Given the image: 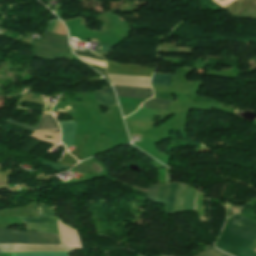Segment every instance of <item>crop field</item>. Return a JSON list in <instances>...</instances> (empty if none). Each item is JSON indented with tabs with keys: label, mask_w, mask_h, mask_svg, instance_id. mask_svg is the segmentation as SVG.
Returning a JSON list of instances; mask_svg holds the SVG:
<instances>
[{
	"label": "crop field",
	"mask_w": 256,
	"mask_h": 256,
	"mask_svg": "<svg viewBox=\"0 0 256 256\" xmlns=\"http://www.w3.org/2000/svg\"><path fill=\"white\" fill-rule=\"evenodd\" d=\"M60 162L74 165L75 163H77V160L66 152L65 156L62 160H60Z\"/></svg>",
	"instance_id": "obj_19"
},
{
	"label": "crop field",
	"mask_w": 256,
	"mask_h": 256,
	"mask_svg": "<svg viewBox=\"0 0 256 256\" xmlns=\"http://www.w3.org/2000/svg\"><path fill=\"white\" fill-rule=\"evenodd\" d=\"M75 53L77 55H82V56H86V57H89V58H95V59H100V60H104L102 58H98L96 57L94 54H90V53H86L85 51H79V50H74ZM105 61V60H104Z\"/></svg>",
	"instance_id": "obj_20"
},
{
	"label": "crop field",
	"mask_w": 256,
	"mask_h": 256,
	"mask_svg": "<svg viewBox=\"0 0 256 256\" xmlns=\"http://www.w3.org/2000/svg\"><path fill=\"white\" fill-rule=\"evenodd\" d=\"M171 80V75L167 74H154L151 82L169 83Z\"/></svg>",
	"instance_id": "obj_16"
},
{
	"label": "crop field",
	"mask_w": 256,
	"mask_h": 256,
	"mask_svg": "<svg viewBox=\"0 0 256 256\" xmlns=\"http://www.w3.org/2000/svg\"><path fill=\"white\" fill-rule=\"evenodd\" d=\"M198 256H228V255H226L214 248L207 246L206 249Z\"/></svg>",
	"instance_id": "obj_15"
},
{
	"label": "crop field",
	"mask_w": 256,
	"mask_h": 256,
	"mask_svg": "<svg viewBox=\"0 0 256 256\" xmlns=\"http://www.w3.org/2000/svg\"><path fill=\"white\" fill-rule=\"evenodd\" d=\"M157 192L158 186H148V199L156 202Z\"/></svg>",
	"instance_id": "obj_18"
},
{
	"label": "crop field",
	"mask_w": 256,
	"mask_h": 256,
	"mask_svg": "<svg viewBox=\"0 0 256 256\" xmlns=\"http://www.w3.org/2000/svg\"><path fill=\"white\" fill-rule=\"evenodd\" d=\"M25 223H40V224H51L56 225L55 219H47V218H33V217H19Z\"/></svg>",
	"instance_id": "obj_12"
},
{
	"label": "crop field",
	"mask_w": 256,
	"mask_h": 256,
	"mask_svg": "<svg viewBox=\"0 0 256 256\" xmlns=\"http://www.w3.org/2000/svg\"><path fill=\"white\" fill-rule=\"evenodd\" d=\"M256 240V222L233 214L215 246L235 256H256L250 251Z\"/></svg>",
	"instance_id": "obj_1"
},
{
	"label": "crop field",
	"mask_w": 256,
	"mask_h": 256,
	"mask_svg": "<svg viewBox=\"0 0 256 256\" xmlns=\"http://www.w3.org/2000/svg\"><path fill=\"white\" fill-rule=\"evenodd\" d=\"M216 3L220 4L221 6H226L227 4H229L230 2H232L233 0H214Z\"/></svg>",
	"instance_id": "obj_23"
},
{
	"label": "crop field",
	"mask_w": 256,
	"mask_h": 256,
	"mask_svg": "<svg viewBox=\"0 0 256 256\" xmlns=\"http://www.w3.org/2000/svg\"><path fill=\"white\" fill-rule=\"evenodd\" d=\"M179 184L172 183L166 203V208H165V214H173L174 211V198H175V193L178 188ZM170 185H163L159 187V193H158V199L157 202L165 204L168 190H169Z\"/></svg>",
	"instance_id": "obj_7"
},
{
	"label": "crop field",
	"mask_w": 256,
	"mask_h": 256,
	"mask_svg": "<svg viewBox=\"0 0 256 256\" xmlns=\"http://www.w3.org/2000/svg\"><path fill=\"white\" fill-rule=\"evenodd\" d=\"M89 136H84L81 141L78 143L77 147L74 149V151L72 152V155H74L78 160H83L81 158H79V154L80 152L82 151L87 139H88Z\"/></svg>",
	"instance_id": "obj_17"
},
{
	"label": "crop field",
	"mask_w": 256,
	"mask_h": 256,
	"mask_svg": "<svg viewBox=\"0 0 256 256\" xmlns=\"http://www.w3.org/2000/svg\"><path fill=\"white\" fill-rule=\"evenodd\" d=\"M38 217L56 218V213L48 206L39 205Z\"/></svg>",
	"instance_id": "obj_13"
},
{
	"label": "crop field",
	"mask_w": 256,
	"mask_h": 256,
	"mask_svg": "<svg viewBox=\"0 0 256 256\" xmlns=\"http://www.w3.org/2000/svg\"><path fill=\"white\" fill-rule=\"evenodd\" d=\"M62 129V143L67 147L73 144L75 125L74 121L71 122H59Z\"/></svg>",
	"instance_id": "obj_9"
},
{
	"label": "crop field",
	"mask_w": 256,
	"mask_h": 256,
	"mask_svg": "<svg viewBox=\"0 0 256 256\" xmlns=\"http://www.w3.org/2000/svg\"><path fill=\"white\" fill-rule=\"evenodd\" d=\"M38 160L42 161V165H47V166H51L53 167L54 170H57V171H60V172H63L62 170L64 169H69L71 168L72 166L70 165H64V164H56V163H52V162H49V161H45V160H42V159H39Z\"/></svg>",
	"instance_id": "obj_14"
},
{
	"label": "crop field",
	"mask_w": 256,
	"mask_h": 256,
	"mask_svg": "<svg viewBox=\"0 0 256 256\" xmlns=\"http://www.w3.org/2000/svg\"><path fill=\"white\" fill-rule=\"evenodd\" d=\"M95 164H96V163H95ZM95 164L93 163L91 167L98 173V172H100V171L102 170V168H101L100 165L97 164V165L101 168V170H100L99 167H98L97 165H95ZM101 172H102V171H101ZM101 172H100V173H101ZM100 173H99V174H100Z\"/></svg>",
	"instance_id": "obj_24"
},
{
	"label": "crop field",
	"mask_w": 256,
	"mask_h": 256,
	"mask_svg": "<svg viewBox=\"0 0 256 256\" xmlns=\"http://www.w3.org/2000/svg\"><path fill=\"white\" fill-rule=\"evenodd\" d=\"M6 122L32 132H34L35 130L42 132H59L58 125L53 116L42 115L38 127L36 126L37 128L16 122L11 119L7 120Z\"/></svg>",
	"instance_id": "obj_5"
},
{
	"label": "crop field",
	"mask_w": 256,
	"mask_h": 256,
	"mask_svg": "<svg viewBox=\"0 0 256 256\" xmlns=\"http://www.w3.org/2000/svg\"><path fill=\"white\" fill-rule=\"evenodd\" d=\"M76 168H78V172H92L93 170L85 167V166H81V165H77Z\"/></svg>",
	"instance_id": "obj_21"
},
{
	"label": "crop field",
	"mask_w": 256,
	"mask_h": 256,
	"mask_svg": "<svg viewBox=\"0 0 256 256\" xmlns=\"http://www.w3.org/2000/svg\"><path fill=\"white\" fill-rule=\"evenodd\" d=\"M169 102L170 100H157V99H150L141 106V108L144 109H163V110H168L169 108Z\"/></svg>",
	"instance_id": "obj_10"
},
{
	"label": "crop field",
	"mask_w": 256,
	"mask_h": 256,
	"mask_svg": "<svg viewBox=\"0 0 256 256\" xmlns=\"http://www.w3.org/2000/svg\"><path fill=\"white\" fill-rule=\"evenodd\" d=\"M100 46H102L100 52H104V53H109V51L113 48L112 46H108L104 44H100Z\"/></svg>",
	"instance_id": "obj_22"
},
{
	"label": "crop field",
	"mask_w": 256,
	"mask_h": 256,
	"mask_svg": "<svg viewBox=\"0 0 256 256\" xmlns=\"http://www.w3.org/2000/svg\"><path fill=\"white\" fill-rule=\"evenodd\" d=\"M132 187L136 188V189H139V190H142V191H145V192L147 191L146 189H143V188H140V187H137V186H134V185Z\"/></svg>",
	"instance_id": "obj_25"
},
{
	"label": "crop field",
	"mask_w": 256,
	"mask_h": 256,
	"mask_svg": "<svg viewBox=\"0 0 256 256\" xmlns=\"http://www.w3.org/2000/svg\"><path fill=\"white\" fill-rule=\"evenodd\" d=\"M69 253L62 252H24L11 253V256H68Z\"/></svg>",
	"instance_id": "obj_11"
},
{
	"label": "crop field",
	"mask_w": 256,
	"mask_h": 256,
	"mask_svg": "<svg viewBox=\"0 0 256 256\" xmlns=\"http://www.w3.org/2000/svg\"><path fill=\"white\" fill-rule=\"evenodd\" d=\"M24 251H63L66 250L62 246H31V245H0V252H24Z\"/></svg>",
	"instance_id": "obj_6"
},
{
	"label": "crop field",
	"mask_w": 256,
	"mask_h": 256,
	"mask_svg": "<svg viewBox=\"0 0 256 256\" xmlns=\"http://www.w3.org/2000/svg\"><path fill=\"white\" fill-rule=\"evenodd\" d=\"M33 55L51 58L69 56L67 36L46 32L39 40H34Z\"/></svg>",
	"instance_id": "obj_3"
},
{
	"label": "crop field",
	"mask_w": 256,
	"mask_h": 256,
	"mask_svg": "<svg viewBox=\"0 0 256 256\" xmlns=\"http://www.w3.org/2000/svg\"><path fill=\"white\" fill-rule=\"evenodd\" d=\"M107 73L151 76L154 68L118 65L107 62ZM108 74L113 85L150 88V77ZM114 86L118 96L149 99L152 89Z\"/></svg>",
	"instance_id": "obj_2"
},
{
	"label": "crop field",
	"mask_w": 256,
	"mask_h": 256,
	"mask_svg": "<svg viewBox=\"0 0 256 256\" xmlns=\"http://www.w3.org/2000/svg\"><path fill=\"white\" fill-rule=\"evenodd\" d=\"M103 88L104 89H102V91L95 92L96 100L99 103L108 107H112L116 105L117 104L116 98L111 86L103 87Z\"/></svg>",
	"instance_id": "obj_8"
},
{
	"label": "crop field",
	"mask_w": 256,
	"mask_h": 256,
	"mask_svg": "<svg viewBox=\"0 0 256 256\" xmlns=\"http://www.w3.org/2000/svg\"><path fill=\"white\" fill-rule=\"evenodd\" d=\"M0 243L57 244V235L0 229Z\"/></svg>",
	"instance_id": "obj_4"
}]
</instances>
